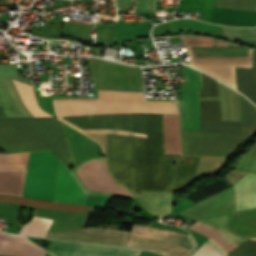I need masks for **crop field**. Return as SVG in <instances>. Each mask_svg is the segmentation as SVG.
<instances>
[{
  "instance_id": "crop-field-1",
  "label": "crop field",
  "mask_w": 256,
  "mask_h": 256,
  "mask_svg": "<svg viewBox=\"0 0 256 256\" xmlns=\"http://www.w3.org/2000/svg\"><path fill=\"white\" fill-rule=\"evenodd\" d=\"M147 139L106 135L108 172L135 197L144 191L171 193L177 155L164 154L162 115L146 114ZM197 157L181 156L173 190L190 181Z\"/></svg>"
},
{
  "instance_id": "crop-field-2",
  "label": "crop field",
  "mask_w": 256,
  "mask_h": 256,
  "mask_svg": "<svg viewBox=\"0 0 256 256\" xmlns=\"http://www.w3.org/2000/svg\"><path fill=\"white\" fill-rule=\"evenodd\" d=\"M56 117L170 113L175 102L143 101L142 93L99 90V99L53 100ZM85 134H114L146 138L145 114L59 118ZM70 125V126H71Z\"/></svg>"
},
{
  "instance_id": "crop-field-3",
  "label": "crop field",
  "mask_w": 256,
  "mask_h": 256,
  "mask_svg": "<svg viewBox=\"0 0 256 256\" xmlns=\"http://www.w3.org/2000/svg\"><path fill=\"white\" fill-rule=\"evenodd\" d=\"M29 153L0 154V193L21 194ZM68 169L51 151L30 153L21 196L61 202ZM112 197L85 193L70 171L62 202L101 207Z\"/></svg>"
},
{
  "instance_id": "crop-field-4",
  "label": "crop field",
  "mask_w": 256,
  "mask_h": 256,
  "mask_svg": "<svg viewBox=\"0 0 256 256\" xmlns=\"http://www.w3.org/2000/svg\"><path fill=\"white\" fill-rule=\"evenodd\" d=\"M0 117H5L2 108ZM0 148L7 153L51 150L68 169L75 166L63 124L55 118L0 119Z\"/></svg>"
},
{
  "instance_id": "crop-field-5",
  "label": "crop field",
  "mask_w": 256,
  "mask_h": 256,
  "mask_svg": "<svg viewBox=\"0 0 256 256\" xmlns=\"http://www.w3.org/2000/svg\"><path fill=\"white\" fill-rule=\"evenodd\" d=\"M241 106L240 136L182 130L184 155L226 157L238 144L256 132V108L239 95Z\"/></svg>"
},
{
  "instance_id": "crop-field-6",
  "label": "crop field",
  "mask_w": 256,
  "mask_h": 256,
  "mask_svg": "<svg viewBox=\"0 0 256 256\" xmlns=\"http://www.w3.org/2000/svg\"><path fill=\"white\" fill-rule=\"evenodd\" d=\"M194 245L188 234L134 225L126 246L157 251L166 256H187Z\"/></svg>"
},
{
  "instance_id": "crop-field-7",
  "label": "crop field",
  "mask_w": 256,
  "mask_h": 256,
  "mask_svg": "<svg viewBox=\"0 0 256 256\" xmlns=\"http://www.w3.org/2000/svg\"><path fill=\"white\" fill-rule=\"evenodd\" d=\"M95 89L143 92L140 68L88 58Z\"/></svg>"
},
{
  "instance_id": "crop-field-8",
  "label": "crop field",
  "mask_w": 256,
  "mask_h": 256,
  "mask_svg": "<svg viewBox=\"0 0 256 256\" xmlns=\"http://www.w3.org/2000/svg\"><path fill=\"white\" fill-rule=\"evenodd\" d=\"M187 83L179 84L183 100L177 101L181 127L187 130H199V90H202L200 71L187 66L182 68Z\"/></svg>"
},
{
  "instance_id": "crop-field-9",
  "label": "crop field",
  "mask_w": 256,
  "mask_h": 256,
  "mask_svg": "<svg viewBox=\"0 0 256 256\" xmlns=\"http://www.w3.org/2000/svg\"><path fill=\"white\" fill-rule=\"evenodd\" d=\"M54 256H137L134 249L53 240L48 251Z\"/></svg>"
},
{
  "instance_id": "crop-field-10",
  "label": "crop field",
  "mask_w": 256,
  "mask_h": 256,
  "mask_svg": "<svg viewBox=\"0 0 256 256\" xmlns=\"http://www.w3.org/2000/svg\"><path fill=\"white\" fill-rule=\"evenodd\" d=\"M76 172L87 190L131 196L112 181L102 160L94 159L84 162Z\"/></svg>"
},
{
  "instance_id": "crop-field-11",
  "label": "crop field",
  "mask_w": 256,
  "mask_h": 256,
  "mask_svg": "<svg viewBox=\"0 0 256 256\" xmlns=\"http://www.w3.org/2000/svg\"><path fill=\"white\" fill-rule=\"evenodd\" d=\"M235 211L234 186L193 204L180 214L193 219Z\"/></svg>"
},
{
  "instance_id": "crop-field-12",
  "label": "crop field",
  "mask_w": 256,
  "mask_h": 256,
  "mask_svg": "<svg viewBox=\"0 0 256 256\" xmlns=\"http://www.w3.org/2000/svg\"><path fill=\"white\" fill-rule=\"evenodd\" d=\"M45 251L28 242L24 236L0 232V254L15 256H44Z\"/></svg>"
},
{
  "instance_id": "crop-field-13",
  "label": "crop field",
  "mask_w": 256,
  "mask_h": 256,
  "mask_svg": "<svg viewBox=\"0 0 256 256\" xmlns=\"http://www.w3.org/2000/svg\"><path fill=\"white\" fill-rule=\"evenodd\" d=\"M7 85H8V88L18 106V108L24 113L25 117H32L31 114L28 112V110L25 108V106L23 105L18 93H17V90L12 82L11 79H5ZM0 84L3 88V91L11 105V107L13 108V110L16 112V114L18 115V117H24L23 113L17 108L5 82L3 79H0ZM1 87H0V100H1V103H2V106H3V109H4V112H5V116L6 117H17V115L15 114V112L12 110V108L10 107L4 93H3Z\"/></svg>"
},
{
  "instance_id": "crop-field-14",
  "label": "crop field",
  "mask_w": 256,
  "mask_h": 256,
  "mask_svg": "<svg viewBox=\"0 0 256 256\" xmlns=\"http://www.w3.org/2000/svg\"><path fill=\"white\" fill-rule=\"evenodd\" d=\"M226 229L256 241V210L235 213Z\"/></svg>"
},
{
  "instance_id": "crop-field-15",
  "label": "crop field",
  "mask_w": 256,
  "mask_h": 256,
  "mask_svg": "<svg viewBox=\"0 0 256 256\" xmlns=\"http://www.w3.org/2000/svg\"><path fill=\"white\" fill-rule=\"evenodd\" d=\"M148 211L162 217L171 212L172 194L144 192L135 197Z\"/></svg>"
},
{
  "instance_id": "crop-field-16",
  "label": "crop field",
  "mask_w": 256,
  "mask_h": 256,
  "mask_svg": "<svg viewBox=\"0 0 256 256\" xmlns=\"http://www.w3.org/2000/svg\"><path fill=\"white\" fill-rule=\"evenodd\" d=\"M236 211L256 208V175H249L235 186Z\"/></svg>"
},
{
  "instance_id": "crop-field-17",
  "label": "crop field",
  "mask_w": 256,
  "mask_h": 256,
  "mask_svg": "<svg viewBox=\"0 0 256 256\" xmlns=\"http://www.w3.org/2000/svg\"><path fill=\"white\" fill-rule=\"evenodd\" d=\"M0 202L32 205V206H39V207L67 210V211H76V212H93L94 210V208H91V207L31 200V199L21 198L18 196H12V195H0Z\"/></svg>"
},
{
  "instance_id": "crop-field-18",
  "label": "crop field",
  "mask_w": 256,
  "mask_h": 256,
  "mask_svg": "<svg viewBox=\"0 0 256 256\" xmlns=\"http://www.w3.org/2000/svg\"><path fill=\"white\" fill-rule=\"evenodd\" d=\"M165 153L181 154L178 116H163Z\"/></svg>"
},
{
  "instance_id": "crop-field-19",
  "label": "crop field",
  "mask_w": 256,
  "mask_h": 256,
  "mask_svg": "<svg viewBox=\"0 0 256 256\" xmlns=\"http://www.w3.org/2000/svg\"><path fill=\"white\" fill-rule=\"evenodd\" d=\"M237 90L256 104V69L236 68Z\"/></svg>"
},
{
  "instance_id": "crop-field-20",
  "label": "crop field",
  "mask_w": 256,
  "mask_h": 256,
  "mask_svg": "<svg viewBox=\"0 0 256 256\" xmlns=\"http://www.w3.org/2000/svg\"><path fill=\"white\" fill-rule=\"evenodd\" d=\"M170 24H171L172 31L182 30V29H192V30H201V31H207V32L219 34L222 28L221 26L209 25L193 19H179V20L171 21Z\"/></svg>"
},
{
  "instance_id": "crop-field-21",
  "label": "crop field",
  "mask_w": 256,
  "mask_h": 256,
  "mask_svg": "<svg viewBox=\"0 0 256 256\" xmlns=\"http://www.w3.org/2000/svg\"><path fill=\"white\" fill-rule=\"evenodd\" d=\"M201 121L221 122L220 101L200 102Z\"/></svg>"
},
{
  "instance_id": "crop-field-22",
  "label": "crop field",
  "mask_w": 256,
  "mask_h": 256,
  "mask_svg": "<svg viewBox=\"0 0 256 256\" xmlns=\"http://www.w3.org/2000/svg\"><path fill=\"white\" fill-rule=\"evenodd\" d=\"M233 214L234 213L220 215V216L206 217L200 221L223 231L224 233H226L228 236H230L232 239H234L236 242H238L240 244V243L246 241V239L224 229L225 225L230 220V218L233 216Z\"/></svg>"
},
{
  "instance_id": "crop-field-23",
  "label": "crop field",
  "mask_w": 256,
  "mask_h": 256,
  "mask_svg": "<svg viewBox=\"0 0 256 256\" xmlns=\"http://www.w3.org/2000/svg\"><path fill=\"white\" fill-rule=\"evenodd\" d=\"M52 220L34 217L32 221L23 226L20 234L44 237Z\"/></svg>"
},
{
  "instance_id": "crop-field-24",
  "label": "crop field",
  "mask_w": 256,
  "mask_h": 256,
  "mask_svg": "<svg viewBox=\"0 0 256 256\" xmlns=\"http://www.w3.org/2000/svg\"><path fill=\"white\" fill-rule=\"evenodd\" d=\"M200 130L210 132H222V133H233L239 134V123L221 122V123H210L200 122Z\"/></svg>"
},
{
  "instance_id": "crop-field-25",
  "label": "crop field",
  "mask_w": 256,
  "mask_h": 256,
  "mask_svg": "<svg viewBox=\"0 0 256 256\" xmlns=\"http://www.w3.org/2000/svg\"><path fill=\"white\" fill-rule=\"evenodd\" d=\"M223 36H227L235 39H254L256 40V29H238L223 27L221 33Z\"/></svg>"
},
{
  "instance_id": "crop-field-26",
  "label": "crop field",
  "mask_w": 256,
  "mask_h": 256,
  "mask_svg": "<svg viewBox=\"0 0 256 256\" xmlns=\"http://www.w3.org/2000/svg\"><path fill=\"white\" fill-rule=\"evenodd\" d=\"M203 91H200V97H219L217 81L202 74Z\"/></svg>"
},
{
  "instance_id": "crop-field-27",
  "label": "crop field",
  "mask_w": 256,
  "mask_h": 256,
  "mask_svg": "<svg viewBox=\"0 0 256 256\" xmlns=\"http://www.w3.org/2000/svg\"><path fill=\"white\" fill-rule=\"evenodd\" d=\"M228 254L232 256H256V242L248 240Z\"/></svg>"
},
{
  "instance_id": "crop-field-28",
  "label": "crop field",
  "mask_w": 256,
  "mask_h": 256,
  "mask_svg": "<svg viewBox=\"0 0 256 256\" xmlns=\"http://www.w3.org/2000/svg\"><path fill=\"white\" fill-rule=\"evenodd\" d=\"M192 256H222L207 244H203Z\"/></svg>"
},
{
  "instance_id": "crop-field-29",
  "label": "crop field",
  "mask_w": 256,
  "mask_h": 256,
  "mask_svg": "<svg viewBox=\"0 0 256 256\" xmlns=\"http://www.w3.org/2000/svg\"><path fill=\"white\" fill-rule=\"evenodd\" d=\"M156 0H137L136 11H155Z\"/></svg>"
},
{
  "instance_id": "crop-field-30",
  "label": "crop field",
  "mask_w": 256,
  "mask_h": 256,
  "mask_svg": "<svg viewBox=\"0 0 256 256\" xmlns=\"http://www.w3.org/2000/svg\"><path fill=\"white\" fill-rule=\"evenodd\" d=\"M133 0H115L116 8L132 6Z\"/></svg>"
},
{
  "instance_id": "crop-field-31",
  "label": "crop field",
  "mask_w": 256,
  "mask_h": 256,
  "mask_svg": "<svg viewBox=\"0 0 256 256\" xmlns=\"http://www.w3.org/2000/svg\"><path fill=\"white\" fill-rule=\"evenodd\" d=\"M253 68H256V51L255 50L253 54Z\"/></svg>"
},
{
  "instance_id": "crop-field-32",
  "label": "crop field",
  "mask_w": 256,
  "mask_h": 256,
  "mask_svg": "<svg viewBox=\"0 0 256 256\" xmlns=\"http://www.w3.org/2000/svg\"><path fill=\"white\" fill-rule=\"evenodd\" d=\"M0 107H2V106H1V103H0Z\"/></svg>"
}]
</instances>
